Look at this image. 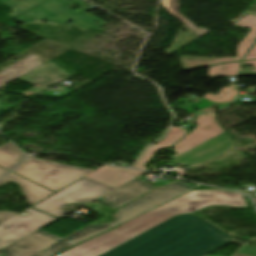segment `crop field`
<instances>
[{"label":"crop field","mask_w":256,"mask_h":256,"mask_svg":"<svg viewBox=\"0 0 256 256\" xmlns=\"http://www.w3.org/2000/svg\"><path fill=\"white\" fill-rule=\"evenodd\" d=\"M211 205L247 207L244 195L240 193L191 191L59 256H99L177 215L193 213Z\"/></svg>","instance_id":"crop-field-1"},{"label":"crop field","mask_w":256,"mask_h":256,"mask_svg":"<svg viewBox=\"0 0 256 256\" xmlns=\"http://www.w3.org/2000/svg\"><path fill=\"white\" fill-rule=\"evenodd\" d=\"M206 224L193 214L177 216L101 256H203L209 252L197 242L201 237L232 240Z\"/></svg>","instance_id":"crop-field-2"},{"label":"crop field","mask_w":256,"mask_h":256,"mask_svg":"<svg viewBox=\"0 0 256 256\" xmlns=\"http://www.w3.org/2000/svg\"><path fill=\"white\" fill-rule=\"evenodd\" d=\"M192 187L175 181L166 186L159 187L156 190L134 201L133 199L155 189L144 182L141 176L132 182L118 188L99 200L105 202L108 206L118 209L120 206L133 200L134 202L116 210L115 221L104 225H89L65 238L41 250L32 256H51L74 244L97 235L105 230L121 224V222L158 205Z\"/></svg>","instance_id":"crop-field-3"},{"label":"crop field","mask_w":256,"mask_h":256,"mask_svg":"<svg viewBox=\"0 0 256 256\" xmlns=\"http://www.w3.org/2000/svg\"><path fill=\"white\" fill-rule=\"evenodd\" d=\"M92 171L84 168L54 164L34 157L26 159L13 170V172L54 192Z\"/></svg>","instance_id":"crop-field-4"},{"label":"crop field","mask_w":256,"mask_h":256,"mask_svg":"<svg viewBox=\"0 0 256 256\" xmlns=\"http://www.w3.org/2000/svg\"><path fill=\"white\" fill-rule=\"evenodd\" d=\"M112 189L114 188L108 185L84 178L55 193L33 207L61 218L64 216L62 210L64 205L74 202H90Z\"/></svg>","instance_id":"crop-field-5"},{"label":"crop field","mask_w":256,"mask_h":256,"mask_svg":"<svg viewBox=\"0 0 256 256\" xmlns=\"http://www.w3.org/2000/svg\"><path fill=\"white\" fill-rule=\"evenodd\" d=\"M26 217L19 214L0 224V249L35 232L57 218L33 210H25Z\"/></svg>","instance_id":"crop-field-6"},{"label":"crop field","mask_w":256,"mask_h":256,"mask_svg":"<svg viewBox=\"0 0 256 256\" xmlns=\"http://www.w3.org/2000/svg\"><path fill=\"white\" fill-rule=\"evenodd\" d=\"M196 124L188 136L173 146L174 152L178 154L170 157V160L225 132L215 120V113L198 115Z\"/></svg>","instance_id":"crop-field-7"},{"label":"crop field","mask_w":256,"mask_h":256,"mask_svg":"<svg viewBox=\"0 0 256 256\" xmlns=\"http://www.w3.org/2000/svg\"><path fill=\"white\" fill-rule=\"evenodd\" d=\"M233 148L235 146L225 132L171 161L177 165L197 164L213 159Z\"/></svg>","instance_id":"crop-field-8"},{"label":"crop field","mask_w":256,"mask_h":256,"mask_svg":"<svg viewBox=\"0 0 256 256\" xmlns=\"http://www.w3.org/2000/svg\"><path fill=\"white\" fill-rule=\"evenodd\" d=\"M236 26L251 28L246 34L244 40H242L237 46V58L232 57L209 59V58H194V57H179L185 70L209 66L227 61L241 60L242 57L247 53L251 46L256 41V16L247 15L243 19L233 23Z\"/></svg>","instance_id":"crop-field-9"},{"label":"crop field","mask_w":256,"mask_h":256,"mask_svg":"<svg viewBox=\"0 0 256 256\" xmlns=\"http://www.w3.org/2000/svg\"><path fill=\"white\" fill-rule=\"evenodd\" d=\"M60 239L38 230L0 251L5 253L4 256H30Z\"/></svg>","instance_id":"crop-field-10"},{"label":"crop field","mask_w":256,"mask_h":256,"mask_svg":"<svg viewBox=\"0 0 256 256\" xmlns=\"http://www.w3.org/2000/svg\"><path fill=\"white\" fill-rule=\"evenodd\" d=\"M142 173L133 169L104 166L85 177L117 188Z\"/></svg>","instance_id":"crop-field-11"},{"label":"crop field","mask_w":256,"mask_h":256,"mask_svg":"<svg viewBox=\"0 0 256 256\" xmlns=\"http://www.w3.org/2000/svg\"><path fill=\"white\" fill-rule=\"evenodd\" d=\"M8 180H12L14 182H16L20 189L22 190V192L25 194V196L27 197L28 204H35L38 201L42 200L43 198L47 197L48 195L52 194L53 192L38 186L28 180H25L13 173H10L8 176H6L4 179H2L0 181V185H2L3 183H5Z\"/></svg>","instance_id":"crop-field-12"},{"label":"crop field","mask_w":256,"mask_h":256,"mask_svg":"<svg viewBox=\"0 0 256 256\" xmlns=\"http://www.w3.org/2000/svg\"><path fill=\"white\" fill-rule=\"evenodd\" d=\"M188 131L177 127L172 128L166 135V137L154 146H150L140 160L136 163L134 168L146 170L144 164L150 160L154 153L160 149L168 148L173 145L176 141L182 138Z\"/></svg>","instance_id":"crop-field-13"},{"label":"crop field","mask_w":256,"mask_h":256,"mask_svg":"<svg viewBox=\"0 0 256 256\" xmlns=\"http://www.w3.org/2000/svg\"><path fill=\"white\" fill-rule=\"evenodd\" d=\"M41 65L42 64L39 61L38 57L35 55H31L23 59L22 61L14 64L13 66L9 67L11 72L6 78L2 80V82L6 84Z\"/></svg>","instance_id":"crop-field-14"},{"label":"crop field","mask_w":256,"mask_h":256,"mask_svg":"<svg viewBox=\"0 0 256 256\" xmlns=\"http://www.w3.org/2000/svg\"><path fill=\"white\" fill-rule=\"evenodd\" d=\"M27 155L11 142L0 147V166L9 170Z\"/></svg>","instance_id":"crop-field-15"},{"label":"crop field","mask_w":256,"mask_h":256,"mask_svg":"<svg viewBox=\"0 0 256 256\" xmlns=\"http://www.w3.org/2000/svg\"><path fill=\"white\" fill-rule=\"evenodd\" d=\"M179 0H162V4L166 10L173 14L179 21H181L185 26H187L191 31H193L200 38L209 33L210 31L206 29H199L194 25L190 20H188L184 15H182L178 9L180 5L178 4Z\"/></svg>","instance_id":"crop-field-16"},{"label":"crop field","mask_w":256,"mask_h":256,"mask_svg":"<svg viewBox=\"0 0 256 256\" xmlns=\"http://www.w3.org/2000/svg\"><path fill=\"white\" fill-rule=\"evenodd\" d=\"M240 62L227 63L210 67L209 76H237Z\"/></svg>","instance_id":"crop-field-17"},{"label":"crop field","mask_w":256,"mask_h":256,"mask_svg":"<svg viewBox=\"0 0 256 256\" xmlns=\"http://www.w3.org/2000/svg\"><path fill=\"white\" fill-rule=\"evenodd\" d=\"M235 85L231 84V87L220 90V95L215 96L207 93L204 98L211 102L229 103L237 95V90H234Z\"/></svg>","instance_id":"crop-field-18"},{"label":"crop field","mask_w":256,"mask_h":256,"mask_svg":"<svg viewBox=\"0 0 256 256\" xmlns=\"http://www.w3.org/2000/svg\"><path fill=\"white\" fill-rule=\"evenodd\" d=\"M233 241V240H232ZM202 246H204L209 252L223 246L222 244H220L217 241L214 240H209V239H205L202 238L200 241H198ZM231 242V241H230ZM229 243V242H228ZM227 244V243H226ZM225 245V244H224Z\"/></svg>","instance_id":"crop-field-19"},{"label":"crop field","mask_w":256,"mask_h":256,"mask_svg":"<svg viewBox=\"0 0 256 256\" xmlns=\"http://www.w3.org/2000/svg\"><path fill=\"white\" fill-rule=\"evenodd\" d=\"M243 64H252L256 68V61H243ZM256 75V69L251 72L240 71L239 76Z\"/></svg>","instance_id":"crop-field-20"},{"label":"crop field","mask_w":256,"mask_h":256,"mask_svg":"<svg viewBox=\"0 0 256 256\" xmlns=\"http://www.w3.org/2000/svg\"><path fill=\"white\" fill-rule=\"evenodd\" d=\"M16 214L17 213H12V212H0V223Z\"/></svg>","instance_id":"crop-field-21"},{"label":"crop field","mask_w":256,"mask_h":256,"mask_svg":"<svg viewBox=\"0 0 256 256\" xmlns=\"http://www.w3.org/2000/svg\"><path fill=\"white\" fill-rule=\"evenodd\" d=\"M248 59H256V44L253 46V48L249 51V53L244 58V60H248Z\"/></svg>","instance_id":"crop-field-22"},{"label":"crop field","mask_w":256,"mask_h":256,"mask_svg":"<svg viewBox=\"0 0 256 256\" xmlns=\"http://www.w3.org/2000/svg\"><path fill=\"white\" fill-rule=\"evenodd\" d=\"M9 72H10V70H9V68H8V69H6L5 71H3V72L0 74V87H1L2 85H4V84L1 82V80H2L4 77H6Z\"/></svg>","instance_id":"crop-field-23"},{"label":"crop field","mask_w":256,"mask_h":256,"mask_svg":"<svg viewBox=\"0 0 256 256\" xmlns=\"http://www.w3.org/2000/svg\"><path fill=\"white\" fill-rule=\"evenodd\" d=\"M6 172H7V171H5V170H3V169L0 168V177H1L2 175H4Z\"/></svg>","instance_id":"crop-field-24"},{"label":"crop field","mask_w":256,"mask_h":256,"mask_svg":"<svg viewBox=\"0 0 256 256\" xmlns=\"http://www.w3.org/2000/svg\"><path fill=\"white\" fill-rule=\"evenodd\" d=\"M206 227H208V228H216V227H214V226H212V225H210V224H207Z\"/></svg>","instance_id":"crop-field-25"}]
</instances>
